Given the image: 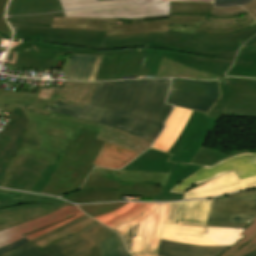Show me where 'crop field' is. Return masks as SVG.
I'll return each instance as SVG.
<instances>
[{
    "label": "crop field",
    "mask_w": 256,
    "mask_h": 256,
    "mask_svg": "<svg viewBox=\"0 0 256 256\" xmlns=\"http://www.w3.org/2000/svg\"><path fill=\"white\" fill-rule=\"evenodd\" d=\"M169 85V79L98 82L90 105L81 108L57 101L45 110L113 126L153 142L173 107L164 104Z\"/></svg>",
    "instance_id": "1"
},
{
    "label": "crop field",
    "mask_w": 256,
    "mask_h": 256,
    "mask_svg": "<svg viewBox=\"0 0 256 256\" xmlns=\"http://www.w3.org/2000/svg\"><path fill=\"white\" fill-rule=\"evenodd\" d=\"M57 54L103 55L95 81L155 78L163 57L179 62L189 68L223 77V73L233 61L148 48L101 52L38 41H13L5 62L18 65L20 69H23V67L51 68Z\"/></svg>",
    "instance_id": "2"
},
{
    "label": "crop field",
    "mask_w": 256,
    "mask_h": 256,
    "mask_svg": "<svg viewBox=\"0 0 256 256\" xmlns=\"http://www.w3.org/2000/svg\"><path fill=\"white\" fill-rule=\"evenodd\" d=\"M212 199L176 203L129 202L118 210L96 217L98 221L124 233L138 222L140 252L157 253L163 223L205 228Z\"/></svg>",
    "instance_id": "3"
},
{
    "label": "crop field",
    "mask_w": 256,
    "mask_h": 256,
    "mask_svg": "<svg viewBox=\"0 0 256 256\" xmlns=\"http://www.w3.org/2000/svg\"><path fill=\"white\" fill-rule=\"evenodd\" d=\"M18 106L25 113L28 124L24 137L39 141V146L26 144L11 159L3 182L5 187L9 177L17 167L30 155L46 163H56L61 152H63L70 138H75L80 127L99 132V127H94L72 121V117L52 112L49 117L24 110V104L12 102L7 105L0 103L3 111L11 113Z\"/></svg>",
    "instance_id": "4"
},
{
    "label": "crop field",
    "mask_w": 256,
    "mask_h": 256,
    "mask_svg": "<svg viewBox=\"0 0 256 256\" xmlns=\"http://www.w3.org/2000/svg\"><path fill=\"white\" fill-rule=\"evenodd\" d=\"M97 132L80 129L75 140L70 139L55 173L42 191L43 194L61 196L80 188L94 167L92 162L104 141L94 139Z\"/></svg>",
    "instance_id": "5"
},
{
    "label": "crop field",
    "mask_w": 256,
    "mask_h": 256,
    "mask_svg": "<svg viewBox=\"0 0 256 256\" xmlns=\"http://www.w3.org/2000/svg\"><path fill=\"white\" fill-rule=\"evenodd\" d=\"M192 34L167 30V33H154L134 36H105L101 51L149 47L153 49L177 51L205 57H223L233 59L237 51L204 52L198 50L201 42L191 40Z\"/></svg>",
    "instance_id": "6"
},
{
    "label": "crop field",
    "mask_w": 256,
    "mask_h": 256,
    "mask_svg": "<svg viewBox=\"0 0 256 256\" xmlns=\"http://www.w3.org/2000/svg\"><path fill=\"white\" fill-rule=\"evenodd\" d=\"M57 198L0 190V223L12 227L51 213L65 205Z\"/></svg>",
    "instance_id": "7"
},
{
    "label": "crop field",
    "mask_w": 256,
    "mask_h": 256,
    "mask_svg": "<svg viewBox=\"0 0 256 256\" xmlns=\"http://www.w3.org/2000/svg\"><path fill=\"white\" fill-rule=\"evenodd\" d=\"M221 97L207 116L223 115L256 118V80L225 78L219 81Z\"/></svg>",
    "instance_id": "8"
},
{
    "label": "crop field",
    "mask_w": 256,
    "mask_h": 256,
    "mask_svg": "<svg viewBox=\"0 0 256 256\" xmlns=\"http://www.w3.org/2000/svg\"><path fill=\"white\" fill-rule=\"evenodd\" d=\"M168 20L143 22L133 19L123 23L119 19L99 18H54L52 27L107 30L105 35H134L153 32H166Z\"/></svg>",
    "instance_id": "9"
},
{
    "label": "crop field",
    "mask_w": 256,
    "mask_h": 256,
    "mask_svg": "<svg viewBox=\"0 0 256 256\" xmlns=\"http://www.w3.org/2000/svg\"><path fill=\"white\" fill-rule=\"evenodd\" d=\"M84 215L77 207L67 205L51 214L0 231V246L15 242L23 237L29 241Z\"/></svg>",
    "instance_id": "10"
},
{
    "label": "crop field",
    "mask_w": 256,
    "mask_h": 256,
    "mask_svg": "<svg viewBox=\"0 0 256 256\" xmlns=\"http://www.w3.org/2000/svg\"><path fill=\"white\" fill-rule=\"evenodd\" d=\"M193 111L187 124L168 153L173 154L169 161L189 163L201 147L208 132L218 120Z\"/></svg>",
    "instance_id": "11"
},
{
    "label": "crop field",
    "mask_w": 256,
    "mask_h": 256,
    "mask_svg": "<svg viewBox=\"0 0 256 256\" xmlns=\"http://www.w3.org/2000/svg\"><path fill=\"white\" fill-rule=\"evenodd\" d=\"M234 170L238 178L256 175V153H246L230 157L212 167L203 166L197 172L176 185L171 192H185L215 177Z\"/></svg>",
    "instance_id": "12"
},
{
    "label": "crop field",
    "mask_w": 256,
    "mask_h": 256,
    "mask_svg": "<svg viewBox=\"0 0 256 256\" xmlns=\"http://www.w3.org/2000/svg\"><path fill=\"white\" fill-rule=\"evenodd\" d=\"M256 217V189L215 199L208 220L250 223Z\"/></svg>",
    "instance_id": "13"
},
{
    "label": "crop field",
    "mask_w": 256,
    "mask_h": 256,
    "mask_svg": "<svg viewBox=\"0 0 256 256\" xmlns=\"http://www.w3.org/2000/svg\"><path fill=\"white\" fill-rule=\"evenodd\" d=\"M97 222L42 250L51 256H83L89 253L90 248L115 233Z\"/></svg>",
    "instance_id": "14"
},
{
    "label": "crop field",
    "mask_w": 256,
    "mask_h": 256,
    "mask_svg": "<svg viewBox=\"0 0 256 256\" xmlns=\"http://www.w3.org/2000/svg\"><path fill=\"white\" fill-rule=\"evenodd\" d=\"M66 17L150 18L169 14V2L155 4L112 5L64 12Z\"/></svg>",
    "instance_id": "15"
},
{
    "label": "crop field",
    "mask_w": 256,
    "mask_h": 256,
    "mask_svg": "<svg viewBox=\"0 0 256 256\" xmlns=\"http://www.w3.org/2000/svg\"><path fill=\"white\" fill-rule=\"evenodd\" d=\"M86 84L87 83L64 81L61 88L54 89L49 101L37 98L41 87L38 88L36 93H14L0 89V102L9 104V102L13 100L15 102L25 103L27 104L26 110H31L36 113H42L49 116L51 112L43 110L45 105L53 107L57 97L78 103Z\"/></svg>",
    "instance_id": "16"
},
{
    "label": "crop field",
    "mask_w": 256,
    "mask_h": 256,
    "mask_svg": "<svg viewBox=\"0 0 256 256\" xmlns=\"http://www.w3.org/2000/svg\"><path fill=\"white\" fill-rule=\"evenodd\" d=\"M251 187H256V176L239 180L234 171H232L189 189L185 192L184 199L217 196Z\"/></svg>",
    "instance_id": "17"
},
{
    "label": "crop field",
    "mask_w": 256,
    "mask_h": 256,
    "mask_svg": "<svg viewBox=\"0 0 256 256\" xmlns=\"http://www.w3.org/2000/svg\"><path fill=\"white\" fill-rule=\"evenodd\" d=\"M205 229L164 224L161 239L194 245L233 244L242 236L204 234ZM241 239V238H240Z\"/></svg>",
    "instance_id": "18"
},
{
    "label": "crop field",
    "mask_w": 256,
    "mask_h": 256,
    "mask_svg": "<svg viewBox=\"0 0 256 256\" xmlns=\"http://www.w3.org/2000/svg\"><path fill=\"white\" fill-rule=\"evenodd\" d=\"M12 119L0 132L1 134L9 135L15 137L9 145L0 153V187L2 186L3 178L7 165L11 157L18 151V149L23 145V142L38 145L37 141L30 140L22 137L24 129L27 124V120L19 108H15L14 111L9 115ZM13 158V157H12Z\"/></svg>",
    "instance_id": "19"
},
{
    "label": "crop field",
    "mask_w": 256,
    "mask_h": 256,
    "mask_svg": "<svg viewBox=\"0 0 256 256\" xmlns=\"http://www.w3.org/2000/svg\"><path fill=\"white\" fill-rule=\"evenodd\" d=\"M106 31L52 28L49 42L89 49H101Z\"/></svg>",
    "instance_id": "20"
},
{
    "label": "crop field",
    "mask_w": 256,
    "mask_h": 256,
    "mask_svg": "<svg viewBox=\"0 0 256 256\" xmlns=\"http://www.w3.org/2000/svg\"><path fill=\"white\" fill-rule=\"evenodd\" d=\"M255 33L256 27L238 33L224 35H205L196 32L193 39L203 42L200 47L201 50L220 52L238 50Z\"/></svg>",
    "instance_id": "21"
},
{
    "label": "crop field",
    "mask_w": 256,
    "mask_h": 256,
    "mask_svg": "<svg viewBox=\"0 0 256 256\" xmlns=\"http://www.w3.org/2000/svg\"><path fill=\"white\" fill-rule=\"evenodd\" d=\"M73 120L102 127L100 132L96 136V139L113 143L115 145L130 149L140 154L151 145V142L145 141L146 139H140L116 128L76 118H74Z\"/></svg>",
    "instance_id": "22"
},
{
    "label": "crop field",
    "mask_w": 256,
    "mask_h": 256,
    "mask_svg": "<svg viewBox=\"0 0 256 256\" xmlns=\"http://www.w3.org/2000/svg\"><path fill=\"white\" fill-rule=\"evenodd\" d=\"M46 163L28 156L11 176L6 188L29 192Z\"/></svg>",
    "instance_id": "23"
},
{
    "label": "crop field",
    "mask_w": 256,
    "mask_h": 256,
    "mask_svg": "<svg viewBox=\"0 0 256 256\" xmlns=\"http://www.w3.org/2000/svg\"><path fill=\"white\" fill-rule=\"evenodd\" d=\"M190 113L191 110L175 106L174 110L165 122V129L152 145V148L167 152L177 139Z\"/></svg>",
    "instance_id": "24"
},
{
    "label": "crop field",
    "mask_w": 256,
    "mask_h": 256,
    "mask_svg": "<svg viewBox=\"0 0 256 256\" xmlns=\"http://www.w3.org/2000/svg\"><path fill=\"white\" fill-rule=\"evenodd\" d=\"M204 18L205 16H169V23H168L167 29L186 32V33H192V34H195L196 31L206 33V34H224V33L242 31L256 25V20H254L243 26L230 28V29L214 30V29L200 28L199 25L202 23Z\"/></svg>",
    "instance_id": "25"
},
{
    "label": "crop field",
    "mask_w": 256,
    "mask_h": 256,
    "mask_svg": "<svg viewBox=\"0 0 256 256\" xmlns=\"http://www.w3.org/2000/svg\"><path fill=\"white\" fill-rule=\"evenodd\" d=\"M230 246H194L162 240L158 256H218Z\"/></svg>",
    "instance_id": "26"
},
{
    "label": "crop field",
    "mask_w": 256,
    "mask_h": 256,
    "mask_svg": "<svg viewBox=\"0 0 256 256\" xmlns=\"http://www.w3.org/2000/svg\"><path fill=\"white\" fill-rule=\"evenodd\" d=\"M102 56L73 55L63 79L94 81Z\"/></svg>",
    "instance_id": "27"
},
{
    "label": "crop field",
    "mask_w": 256,
    "mask_h": 256,
    "mask_svg": "<svg viewBox=\"0 0 256 256\" xmlns=\"http://www.w3.org/2000/svg\"><path fill=\"white\" fill-rule=\"evenodd\" d=\"M170 155L149 149L121 170L169 173L174 163L166 162Z\"/></svg>",
    "instance_id": "28"
},
{
    "label": "crop field",
    "mask_w": 256,
    "mask_h": 256,
    "mask_svg": "<svg viewBox=\"0 0 256 256\" xmlns=\"http://www.w3.org/2000/svg\"><path fill=\"white\" fill-rule=\"evenodd\" d=\"M139 154L105 142L92 165L119 169Z\"/></svg>",
    "instance_id": "29"
},
{
    "label": "crop field",
    "mask_w": 256,
    "mask_h": 256,
    "mask_svg": "<svg viewBox=\"0 0 256 256\" xmlns=\"http://www.w3.org/2000/svg\"><path fill=\"white\" fill-rule=\"evenodd\" d=\"M90 174L104 176V177H116V178H120V181H129V182L148 181L161 186H164L169 175V174L154 173V172L115 171L111 169H102V168H94Z\"/></svg>",
    "instance_id": "30"
},
{
    "label": "crop field",
    "mask_w": 256,
    "mask_h": 256,
    "mask_svg": "<svg viewBox=\"0 0 256 256\" xmlns=\"http://www.w3.org/2000/svg\"><path fill=\"white\" fill-rule=\"evenodd\" d=\"M62 10L59 0H11L7 16Z\"/></svg>",
    "instance_id": "31"
},
{
    "label": "crop field",
    "mask_w": 256,
    "mask_h": 256,
    "mask_svg": "<svg viewBox=\"0 0 256 256\" xmlns=\"http://www.w3.org/2000/svg\"><path fill=\"white\" fill-rule=\"evenodd\" d=\"M199 166L186 165L176 163L170 172L169 179L162 191L161 195L154 194L152 201H168L181 199L182 194L180 193H169L170 190L183 179L198 170Z\"/></svg>",
    "instance_id": "32"
},
{
    "label": "crop field",
    "mask_w": 256,
    "mask_h": 256,
    "mask_svg": "<svg viewBox=\"0 0 256 256\" xmlns=\"http://www.w3.org/2000/svg\"><path fill=\"white\" fill-rule=\"evenodd\" d=\"M217 99L170 90L167 103L207 112Z\"/></svg>",
    "instance_id": "33"
},
{
    "label": "crop field",
    "mask_w": 256,
    "mask_h": 256,
    "mask_svg": "<svg viewBox=\"0 0 256 256\" xmlns=\"http://www.w3.org/2000/svg\"><path fill=\"white\" fill-rule=\"evenodd\" d=\"M164 77H184L196 79H216L220 78L208 73L186 68L174 61L163 58L156 78Z\"/></svg>",
    "instance_id": "34"
},
{
    "label": "crop field",
    "mask_w": 256,
    "mask_h": 256,
    "mask_svg": "<svg viewBox=\"0 0 256 256\" xmlns=\"http://www.w3.org/2000/svg\"><path fill=\"white\" fill-rule=\"evenodd\" d=\"M173 89L207 95L218 98V85L217 80L215 81H197V80H186V79H172Z\"/></svg>",
    "instance_id": "35"
},
{
    "label": "crop field",
    "mask_w": 256,
    "mask_h": 256,
    "mask_svg": "<svg viewBox=\"0 0 256 256\" xmlns=\"http://www.w3.org/2000/svg\"><path fill=\"white\" fill-rule=\"evenodd\" d=\"M64 199L74 203H90L102 201L121 200L120 191L89 189L63 196Z\"/></svg>",
    "instance_id": "36"
},
{
    "label": "crop field",
    "mask_w": 256,
    "mask_h": 256,
    "mask_svg": "<svg viewBox=\"0 0 256 256\" xmlns=\"http://www.w3.org/2000/svg\"><path fill=\"white\" fill-rule=\"evenodd\" d=\"M240 235L244 236L220 256H244L256 249V218Z\"/></svg>",
    "instance_id": "37"
},
{
    "label": "crop field",
    "mask_w": 256,
    "mask_h": 256,
    "mask_svg": "<svg viewBox=\"0 0 256 256\" xmlns=\"http://www.w3.org/2000/svg\"><path fill=\"white\" fill-rule=\"evenodd\" d=\"M226 75L256 77V51L241 49L233 68Z\"/></svg>",
    "instance_id": "38"
},
{
    "label": "crop field",
    "mask_w": 256,
    "mask_h": 256,
    "mask_svg": "<svg viewBox=\"0 0 256 256\" xmlns=\"http://www.w3.org/2000/svg\"><path fill=\"white\" fill-rule=\"evenodd\" d=\"M15 31L14 40H39L43 42L48 41V36L51 27L40 25H25L9 22Z\"/></svg>",
    "instance_id": "39"
},
{
    "label": "crop field",
    "mask_w": 256,
    "mask_h": 256,
    "mask_svg": "<svg viewBox=\"0 0 256 256\" xmlns=\"http://www.w3.org/2000/svg\"><path fill=\"white\" fill-rule=\"evenodd\" d=\"M212 3L170 2L169 15H207Z\"/></svg>",
    "instance_id": "40"
},
{
    "label": "crop field",
    "mask_w": 256,
    "mask_h": 256,
    "mask_svg": "<svg viewBox=\"0 0 256 256\" xmlns=\"http://www.w3.org/2000/svg\"><path fill=\"white\" fill-rule=\"evenodd\" d=\"M121 195L152 198L154 193L160 194L163 187L143 183L120 182Z\"/></svg>",
    "instance_id": "41"
},
{
    "label": "crop field",
    "mask_w": 256,
    "mask_h": 256,
    "mask_svg": "<svg viewBox=\"0 0 256 256\" xmlns=\"http://www.w3.org/2000/svg\"><path fill=\"white\" fill-rule=\"evenodd\" d=\"M246 152H249V151L248 150L232 151L228 154H225V153H221V152H217L214 150H210V149L201 147L200 150L193 157L191 163L211 166L229 156L242 154V153H246Z\"/></svg>",
    "instance_id": "42"
},
{
    "label": "crop field",
    "mask_w": 256,
    "mask_h": 256,
    "mask_svg": "<svg viewBox=\"0 0 256 256\" xmlns=\"http://www.w3.org/2000/svg\"><path fill=\"white\" fill-rule=\"evenodd\" d=\"M252 20H254V18L251 17L249 14L233 17V18H214V17L206 16L204 22L201 24L200 27L215 28V29L229 28V27L243 25Z\"/></svg>",
    "instance_id": "43"
},
{
    "label": "crop field",
    "mask_w": 256,
    "mask_h": 256,
    "mask_svg": "<svg viewBox=\"0 0 256 256\" xmlns=\"http://www.w3.org/2000/svg\"><path fill=\"white\" fill-rule=\"evenodd\" d=\"M101 256H128L122 238L116 233L98 244Z\"/></svg>",
    "instance_id": "44"
},
{
    "label": "crop field",
    "mask_w": 256,
    "mask_h": 256,
    "mask_svg": "<svg viewBox=\"0 0 256 256\" xmlns=\"http://www.w3.org/2000/svg\"><path fill=\"white\" fill-rule=\"evenodd\" d=\"M60 3L63 9L67 10L109 4L137 3V0H60Z\"/></svg>",
    "instance_id": "45"
},
{
    "label": "crop field",
    "mask_w": 256,
    "mask_h": 256,
    "mask_svg": "<svg viewBox=\"0 0 256 256\" xmlns=\"http://www.w3.org/2000/svg\"><path fill=\"white\" fill-rule=\"evenodd\" d=\"M89 188L120 190L119 179L103 178L99 176L89 175V177L86 179L85 183L83 184L80 190L89 189Z\"/></svg>",
    "instance_id": "46"
},
{
    "label": "crop field",
    "mask_w": 256,
    "mask_h": 256,
    "mask_svg": "<svg viewBox=\"0 0 256 256\" xmlns=\"http://www.w3.org/2000/svg\"><path fill=\"white\" fill-rule=\"evenodd\" d=\"M127 202H113V203H99V204H90L78 206L81 208L87 215L91 217L99 216L106 212H111Z\"/></svg>",
    "instance_id": "47"
},
{
    "label": "crop field",
    "mask_w": 256,
    "mask_h": 256,
    "mask_svg": "<svg viewBox=\"0 0 256 256\" xmlns=\"http://www.w3.org/2000/svg\"><path fill=\"white\" fill-rule=\"evenodd\" d=\"M53 17H65V16H64V13L61 12V13H54V14L7 18V20L11 22H17V23L40 24V25L51 26Z\"/></svg>",
    "instance_id": "48"
},
{
    "label": "crop field",
    "mask_w": 256,
    "mask_h": 256,
    "mask_svg": "<svg viewBox=\"0 0 256 256\" xmlns=\"http://www.w3.org/2000/svg\"><path fill=\"white\" fill-rule=\"evenodd\" d=\"M94 222H95L94 220H92L91 218L88 217L87 219L79 222L78 224H76L74 226H71V227H69V228H67V229H65V230H63V231H61V232H59V233H57V234H55L51 237H48V238H46V239H44V240H42L38 243H35V244L38 245L39 248L41 249V248L45 247L46 245H48V244H50V243H52V242H54V241H56V240H58V239H60L64 236H66L67 234L71 235V234L83 229L84 227H86V226H88V225H90Z\"/></svg>",
    "instance_id": "49"
},
{
    "label": "crop field",
    "mask_w": 256,
    "mask_h": 256,
    "mask_svg": "<svg viewBox=\"0 0 256 256\" xmlns=\"http://www.w3.org/2000/svg\"><path fill=\"white\" fill-rule=\"evenodd\" d=\"M0 256H50L32 243H27Z\"/></svg>",
    "instance_id": "50"
},
{
    "label": "crop field",
    "mask_w": 256,
    "mask_h": 256,
    "mask_svg": "<svg viewBox=\"0 0 256 256\" xmlns=\"http://www.w3.org/2000/svg\"><path fill=\"white\" fill-rule=\"evenodd\" d=\"M62 155L63 154H61V156L59 157V159H58V161H57L55 166L47 164L46 168L44 169V171L42 172L41 176L36 181V183L33 185V187H32L30 192L41 193V191L45 187L46 183L50 179L51 175L55 171V169H56V167H57V165H58Z\"/></svg>",
    "instance_id": "51"
},
{
    "label": "crop field",
    "mask_w": 256,
    "mask_h": 256,
    "mask_svg": "<svg viewBox=\"0 0 256 256\" xmlns=\"http://www.w3.org/2000/svg\"><path fill=\"white\" fill-rule=\"evenodd\" d=\"M246 13L247 12L240 6L212 7L208 15L214 16V17H232V16H238Z\"/></svg>",
    "instance_id": "52"
},
{
    "label": "crop field",
    "mask_w": 256,
    "mask_h": 256,
    "mask_svg": "<svg viewBox=\"0 0 256 256\" xmlns=\"http://www.w3.org/2000/svg\"><path fill=\"white\" fill-rule=\"evenodd\" d=\"M138 224L130 227L125 233V244L129 251L139 252L140 238H135Z\"/></svg>",
    "instance_id": "53"
},
{
    "label": "crop field",
    "mask_w": 256,
    "mask_h": 256,
    "mask_svg": "<svg viewBox=\"0 0 256 256\" xmlns=\"http://www.w3.org/2000/svg\"><path fill=\"white\" fill-rule=\"evenodd\" d=\"M96 83L97 82H92V83H88L87 86H86V89L84 91V94L79 102V104H76V103H72V102H69V101H66V100H63V99H57V100H60V101H64V102H68L70 104H73V105H77V106H81L83 107L85 103H90V99L93 95V92L95 90V87H96ZM98 84V83H97Z\"/></svg>",
    "instance_id": "54"
},
{
    "label": "crop field",
    "mask_w": 256,
    "mask_h": 256,
    "mask_svg": "<svg viewBox=\"0 0 256 256\" xmlns=\"http://www.w3.org/2000/svg\"><path fill=\"white\" fill-rule=\"evenodd\" d=\"M7 1L8 0H0V33L11 38L12 37L11 30L3 19L5 5H6Z\"/></svg>",
    "instance_id": "55"
},
{
    "label": "crop field",
    "mask_w": 256,
    "mask_h": 256,
    "mask_svg": "<svg viewBox=\"0 0 256 256\" xmlns=\"http://www.w3.org/2000/svg\"><path fill=\"white\" fill-rule=\"evenodd\" d=\"M244 229L209 228L206 233L239 235Z\"/></svg>",
    "instance_id": "56"
},
{
    "label": "crop field",
    "mask_w": 256,
    "mask_h": 256,
    "mask_svg": "<svg viewBox=\"0 0 256 256\" xmlns=\"http://www.w3.org/2000/svg\"><path fill=\"white\" fill-rule=\"evenodd\" d=\"M248 224L242 223H228V222H214L208 221L207 226L210 227H229V228H245Z\"/></svg>",
    "instance_id": "57"
},
{
    "label": "crop field",
    "mask_w": 256,
    "mask_h": 256,
    "mask_svg": "<svg viewBox=\"0 0 256 256\" xmlns=\"http://www.w3.org/2000/svg\"><path fill=\"white\" fill-rule=\"evenodd\" d=\"M86 217H88V216L84 215V216H82L81 218H79V219H77V220H74V221H72V222H70V223H68V224H65V225H63V226H61V227H59V228H57V229H55V230H53V231H51V232H49V233H47V234L41 236V237H39V238H37V239L31 241V242H32V243L38 242V241H40V240H42V239H44V238H46V237H48V236H51V235H53V234H55V233H57V232H59V231L65 229V228L71 226V225L76 224L77 222L81 221L82 219H84V218H86Z\"/></svg>",
    "instance_id": "58"
},
{
    "label": "crop field",
    "mask_w": 256,
    "mask_h": 256,
    "mask_svg": "<svg viewBox=\"0 0 256 256\" xmlns=\"http://www.w3.org/2000/svg\"><path fill=\"white\" fill-rule=\"evenodd\" d=\"M251 0H214L213 6H234V5H245Z\"/></svg>",
    "instance_id": "59"
},
{
    "label": "crop field",
    "mask_w": 256,
    "mask_h": 256,
    "mask_svg": "<svg viewBox=\"0 0 256 256\" xmlns=\"http://www.w3.org/2000/svg\"><path fill=\"white\" fill-rule=\"evenodd\" d=\"M26 242H28V240H26L25 238H23V239H21V240L15 242V243H12V244H9V245L0 247V254H1V253H4V252H6V251H9V250H11V249H13V248H16V247H18V246H20V245H22V244H24V243H26Z\"/></svg>",
    "instance_id": "60"
},
{
    "label": "crop field",
    "mask_w": 256,
    "mask_h": 256,
    "mask_svg": "<svg viewBox=\"0 0 256 256\" xmlns=\"http://www.w3.org/2000/svg\"><path fill=\"white\" fill-rule=\"evenodd\" d=\"M243 7L256 19V0L251 1Z\"/></svg>",
    "instance_id": "61"
},
{
    "label": "crop field",
    "mask_w": 256,
    "mask_h": 256,
    "mask_svg": "<svg viewBox=\"0 0 256 256\" xmlns=\"http://www.w3.org/2000/svg\"><path fill=\"white\" fill-rule=\"evenodd\" d=\"M12 137L0 135V152L7 146V144L12 140Z\"/></svg>",
    "instance_id": "62"
},
{
    "label": "crop field",
    "mask_w": 256,
    "mask_h": 256,
    "mask_svg": "<svg viewBox=\"0 0 256 256\" xmlns=\"http://www.w3.org/2000/svg\"><path fill=\"white\" fill-rule=\"evenodd\" d=\"M51 93H52V91H50V90L42 89L38 97L48 100L50 95H51Z\"/></svg>",
    "instance_id": "63"
},
{
    "label": "crop field",
    "mask_w": 256,
    "mask_h": 256,
    "mask_svg": "<svg viewBox=\"0 0 256 256\" xmlns=\"http://www.w3.org/2000/svg\"><path fill=\"white\" fill-rule=\"evenodd\" d=\"M85 256H100L97 245L90 249V253Z\"/></svg>",
    "instance_id": "64"
},
{
    "label": "crop field",
    "mask_w": 256,
    "mask_h": 256,
    "mask_svg": "<svg viewBox=\"0 0 256 256\" xmlns=\"http://www.w3.org/2000/svg\"><path fill=\"white\" fill-rule=\"evenodd\" d=\"M165 0H139V2H159ZM192 1H212V0H192Z\"/></svg>",
    "instance_id": "65"
},
{
    "label": "crop field",
    "mask_w": 256,
    "mask_h": 256,
    "mask_svg": "<svg viewBox=\"0 0 256 256\" xmlns=\"http://www.w3.org/2000/svg\"><path fill=\"white\" fill-rule=\"evenodd\" d=\"M253 42H256V36L253 37V38H251V39H250L246 44H244L243 46L246 47V46L250 45V44L253 43Z\"/></svg>",
    "instance_id": "66"
},
{
    "label": "crop field",
    "mask_w": 256,
    "mask_h": 256,
    "mask_svg": "<svg viewBox=\"0 0 256 256\" xmlns=\"http://www.w3.org/2000/svg\"><path fill=\"white\" fill-rule=\"evenodd\" d=\"M133 256H157V255H151V254H137V253H131Z\"/></svg>",
    "instance_id": "67"
},
{
    "label": "crop field",
    "mask_w": 256,
    "mask_h": 256,
    "mask_svg": "<svg viewBox=\"0 0 256 256\" xmlns=\"http://www.w3.org/2000/svg\"><path fill=\"white\" fill-rule=\"evenodd\" d=\"M246 48L256 50V43H253V44H251L250 46H248Z\"/></svg>",
    "instance_id": "68"
},
{
    "label": "crop field",
    "mask_w": 256,
    "mask_h": 256,
    "mask_svg": "<svg viewBox=\"0 0 256 256\" xmlns=\"http://www.w3.org/2000/svg\"><path fill=\"white\" fill-rule=\"evenodd\" d=\"M7 228H10V227H8L5 223L0 224V230L7 229Z\"/></svg>",
    "instance_id": "69"
},
{
    "label": "crop field",
    "mask_w": 256,
    "mask_h": 256,
    "mask_svg": "<svg viewBox=\"0 0 256 256\" xmlns=\"http://www.w3.org/2000/svg\"><path fill=\"white\" fill-rule=\"evenodd\" d=\"M246 256H256V250Z\"/></svg>",
    "instance_id": "70"
},
{
    "label": "crop field",
    "mask_w": 256,
    "mask_h": 256,
    "mask_svg": "<svg viewBox=\"0 0 256 256\" xmlns=\"http://www.w3.org/2000/svg\"><path fill=\"white\" fill-rule=\"evenodd\" d=\"M5 50H6V49H0V51H3V52H5Z\"/></svg>",
    "instance_id": "71"
},
{
    "label": "crop field",
    "mask_w": 256,
    "mask_h": 256,
    "mask_svg": "<svg viewBox=\"0 0 256 256\" xmlns=\"http://www.w3.org/2000/svg\"><path fill=\"white\" fill-rule=\"evenodd\" d=\"M0 38H5V37H3L2 35H0ZM5 39H7V38H5Z\"/></svg>",
    "instance_id": "72"
},
{
    "label": "crop field",
    "mask_w": 256,
    "mask_h": 256,
    "mask_svg": "<svg viewBox=\"0 0 256 256\" xmlns=\"http://www.w3.org/2000/svg\"><path fill=\"white\" fill-rule=\"evenodd\" d=\"M2 110V108H0V111Z\"/></svg>",
    "instance_id": "73"
}]
</instances>
